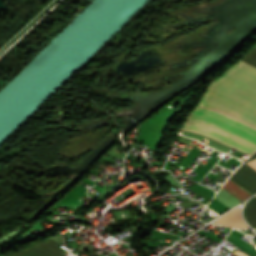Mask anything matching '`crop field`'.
<instances>
[{"label": "crop field", "mask_w": 256, "mask_h": 256, "mask_svg": "<svg viewBox=\"0 0 256 256\" xmlns=\"http://www.w3.org/2000/svg\"><path fill=\"white\" fill-rule=\"evenodd\" d=\"M242 61L256 67V46ZM242 61L210 84L199 106L219 110L256 127V68Z\"/></svg>", "instance_id": "crop-field-1"}, {"label": "crop field", "mask_w": 256, "mask_h": 256, "mask_svg": "<svg viewBox=\"0 0 256 256\" xmlns=\"http://www.w3.org/2000/svg\"><path fill=\"white\" fill-rule=\"evenodd\" d=\"M188 118L196 119L256 145V129L216 110L195 107ZM186 118L180 129L210 137L248 155L256 146L196 120Z\"/></svg>", "instance_id": "crop-field-2"}, {"label": "crop field", "mask_w": 256, "mask_h": 256, "mask_svg": "<svg viewBox=\"0 0 256 256\" xmlns=\"http://www.w3.org/2000/svg\"><path fill=\"white\" fill-rule=\"evenodd\" d=\"M59 243L47 238L37 244L30 245L28 248L12 253L7 256H64L65 252L58 248Z\"/></svg>", "instance_id": "crop-field-3"}, {"label": "crop field", "mask_w": 256, "mask_h": 256, "mask_svg": "<svg viewBox=\"0 0 256 256\" xmlns=\"http://www.w3.org/2000/svg\"><path fill=\"white\" fill-rule=\"evenodd\" d=\"M217 224L229 227L247 228L240 218V208L237 207L216 220Z\"/></svg>", "instance_id": "crop-field-4"}, {"label": "crop field", "mask_w": 256, "mask_h": 256, "mask_svg": "<svg viewBox=\"0 0 256 256\" xmlns=\"http://www.w3.org/2000/svg\"><path fill=\"white\" fill-rule=\"evenodd\" d=\"M222 188L230 192L232 195H234L241 201L247 198L248 196L252 195L229 179L227 180V182L224 184Z\"/></svg>", "instance_id": "crop-field-5"}, {"label": "crop field", "mask_w": 256, "mask_h": 256, "mask_svg": "<svg viewBox=\"0 0 256 256\" xmlns=\"http://www.w3.org/2000/svg\"><path fill=\"white\" fill-rule=\"evenodd\" d=\"M214 198H216L217 200H219L220 202H222L224 205H226L229 208H231V207L237 205L239 202H241L222 188L220 189V191L216 194V196Z\"/></svg>", "instance_id": "crop-field-6"}, {"label": "crop field", "mask_w": 256, "mask_h": 256, "mask_svg": "<svg viewBox=\"0 0 256 256\" xmlns=\"http://www.w3.org/2000/svg\"><path fill=\"white\" fill-rule=\"evenodd\" d=\"M244 213L247 221L252 225L253 228H256V207L247 202Z\"/></svg>", "instance_id": "crop-field-7"}, {"label": "crop field", "mask_w": 256, "mask_h": 256, "mask_svg": "<svg viewBox=\"0 0 256 256\" xmlns=\"http://www.w3.org/2000/svg\"><path fill=\"white\" fill-rule=\"evenodd\" d=\"M246 164L256 171V159H254Z\"/></svg>", "instance_id": "crop-field-8"}, {"label": "crop field", "mask_w": 256, "mask_h": 256, "mask_svg": "<svg viewBox=\"0 0 256 256\" xmlns=\"http://www.w3.org/2000/svg\"><path fill=\"white\" fill-rule=\"evenodd\" d=\"M254 158H256V153L254 155H252L249 159H247L246 162L249 161V160H252Z\"/></svg>", "instance_id": "crop-field-9"}, {"label": "crop field", "mask_w": 256, "mask_h": 256, "mask_svg": "<svg viewBox=\"0 0 256 256\" xmlns=\"http://www.w3.org/2000/svg\"><path fill=\"white\" fill-rule=\"evenodd\" d=\"M250 203L256 206V197L253 200H251Z\"/></svg>", "instance_id": "crop-field-10"}]
</instances>
